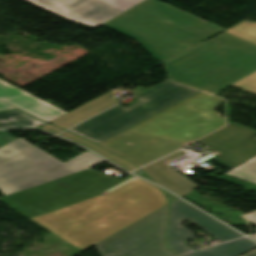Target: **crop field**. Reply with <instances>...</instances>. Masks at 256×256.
<instances>
[{
    "label": "crop field",
    "instance_id": "obj_1",
    "mask_svg": "<svg viewBox=\"0 0 256 256\" xmlns=\"http://www.w3.org/2000/svg\"><path fill=\"white\" fill-rule=\"evenodd\" d=\"M102 161L87 151L63 163L34 147L0 165V200L82 251L169 204L151 183L88 169Z\"/></svg>",
    "mask_w": 256,
    "mask_h": 256
},
{
    "label": "crop field",
    "instance_id": "obj_2",
    "mask_svg": "<svg viewBox=\"0 0 256 256\" xmlns=\"http://www.w3.org/2000/svg\"><path fill=\"white\" fill-rule=\"evenodd\" d=\"M222 102L201 92L100 145L141 167L223 127Z\"/></svg>",
    "mask_w": 256,
    "mask_h": 256
},
{
    "label": "crop field",
    "instance_id": "obj_3",
    "mask_svg": "<svg viewBox=\"0 0 256 256\" xmlns=\"http://www.w3.org/2000/svg\"><path fill=\"white\" fill-rule=\"evenodd\" d=\"M103 26L137 40L162 62L224 31L154 0Z\"/></svg>",
    "mask_w": 256,
    "mask_h": 256
},
{
    "label": "crop field",
    "instance_id": "obj_4",
    "mask_svg": "<svg viewBox=\"0 0 256 256\" xmlns=\"http://www.w3.org/2000/svg\"><path fill=\"white\" fill-rule=\"evenodd\" d=\"M165 67L171 79L214 94L256 72V45L224 33Z\"/></svg>",
    "mask_w": 256,
    "mask_h": 256
},
{
    "label": "crop field",
    "instance_id": "obj_5",
    "mask_svg": "<svg viewBox=\"0 0 256 256\" xmlns=\"http://www.w3.org/2000/svg\"><path fill=\"white\" fill-rule=\"evenodd\" d=\"M197 92L199 91L166 81L136 96L140 102L128 108L118 105L69 131L99 144Z\"/></svg>",
    "mask_w": 256,
    "mask_h": 256
},
{
    "label": "crop field",
    "instance_id": "obj_6",
    "mask_svg": "<svg viewBox=\"0 0 256 256\" xmlns=\"http://www.w3.org/2000/svg\"><path fill=\"white\" fill-rule=\"evenodd\" d=\"M169 205L95 245L101 256H178L166 248Z\"/></svg>",
    "mask_w": 256,
    "mask_h": 256
},
{
    "label": "crop field",
    "instance_id": "obj_7",
    "mask_svg": "<svg viewBox=\"0 0 256 256\" xmlns=\"http://www.w3.org/2000/svg\"><path fill=\"white\" fill-rule=\"evenodd\" d=\"M182 220H190L221 242L242 236L195 207L178 199L172 202L170 225L167 231L169 248L178 255L194 251L183 244L184 241L193 239L194 236L191 231L181 226L180 221Z\"/></svg>",
    "mask_w": 256,
    "mask_h": 256
},
{
    "label": "crop field",
    "instance_id": "obj_8",
    "mask_svg": "<svg viewBox=\"0 0 256 256\" xmlns=\"http://www.w3.org/2000/svg\"><path fill=\"white\" fill-rule=\"evenodd\" d=\"M68 20L99 26L143 0H27Z\"/></svg>",
    "mask_w": 256,
    "mask_h": 256
},
{
    "label": "crop field",
    "instance_id": "obj_9",
    "mask_svg": "<svg viewBox=\"0 0 256 256\" xmlns=\"http://www.w3.org/2000/svg\"><path fill=\"white\" fill-rule=\"evenodd\" d=\"M255 137L256 132L228 122L225 128L198 142L218 154L213 159L232 169L256 155Z\"/></svg>",
    "mask_w": 256,
    "mask_h": 256
},
{
    "label": "crop field",
    "instance_id": "obj_10",
    "mask_svg": "<svg viewBox=\"0 0 256 256\" xmlns=\"http://www.w3.org/2000/svg\"><path fill=\"white\" fill-rule=\"evenodd\" d=\"M183 155H185L183 150L176 152L143 168V170L156 183L161 184L182 196L199 187L173 170L171 166L167 165Z\"/></svg>",
    "mask_w": 256,
    "mask_h": 256
},
{
    "label": "crop field",
    "instance_id": "obj_11",
    "mask_svg": "<svg viewBox=\"0 0 256 256\" xmlns=\"http://www.w3.org/2000/svg\"><path fill=\"white\" fill-rule=\"evenodd\" d=\"M118 101L114 98L102 95L78 108L67 113L65 116L51 122L56 124L64 129H67L77 123H80L105 109L117 104Z\"/></svg>",
    "mask_w": 256,
    "mask_h": 256
},
{
    "label": "crop field",
    "instance_id": "obj_12",
    "mask_svg": "<svg viewBox=\"0 0 256 256\" xmlns=\"http://www.w3.org/2000/svg\"><path fill=\"white\" fill-rule=\"evenodd\" d=\"M4 101L48 122H51L67 113L33 95L13 97L4 99Z\"/></svg>",
    "mask_w": 256,
    "mask_h": 256
},
{
    "label": "crop field",
    "instance_id": "obj_13",
    "mask_svg": "<svg viewBox=\"0 0 256 256\" xmlns=\"http://www.w3.org/2000/svg\"><path fill=\"white\" fill-rule=\"evenodd\" d=\"M254 248L256 243L247 238H241L181 256H238Z\"/></svg>",
    "mask_w": 256,
    "mask_h": 256
},
{
    "label": "crop field",
    "instance_id": "obj_14",
    "mask_svg": "<svg viewBox=\"0 0 256 256\" xmlns=\"http://www.w3.org/2000/svg\"><path fill=\"white\" fill-rule=\"evenodd\" d=\"M37 124L44 125L47 123L41 122L20 110L0 113V128H39Z\"/></svg>",
    "mask_w": 256,
    "mask_h": 256
},
{
    "label": "crop field",
    "instance_id": "obj_15",
    "mask_svg": "<svg viewBox=\"0 0 256 256\" xmlns=\"http://www.w3.org/2000/svg\"><path fill=\"white\" fill-rule=\"evenodd\" d=\"M60 136L69 138L71 140H74V141L80 143L81 145H83V146L93 150L94 152L108 158L109 160L115 162L116 164L122 166L123 168H125L129 171L137 168V166L135 164L131 163L130 161H128V160H126V159H124V158H122V157H120V156H118V155H116V154H114V153L96 145L95 143H93L89 140L78 137V136H76V135H74V134H72L68 131L60 134Z\"/></svg>",
    "mask_w": 256,
    "mask_h": 256
},
{
    "label": "crop field",
    "instance_id": "obj_16",
    "mask_svg": "<svg viewBox=\"0 0 256 256\" xmlns=\"http://www.w3.org/2000/svg\"><path fill=\"white\" fill-rule=\"evenodd\" d=\"M226 174L256 183V157L232 169Z\"/></svg>",
    "mask_w": 256,
    "mask_h": 256
},
{
    "label": "crop field",
    "instance_id": "obj_17",
    "mask_svg": "<svg viewBox=\"0 0 256 256\" xmlns=\"http://www.w3.org/2000/svg\"><path fill=\"white\" fill-rule=\"evenodd\" d=\"M28 94L29 93L0 80V111L17 109L3 102L1 99L13 97V96L28 95Z\"/></svg>",
    "mask_w": 256,
    "mask_h": 256
},
{
    "label": "crop field",
    "instance_id": "obj_18",
    "mask_svg": "<svg viewBox=\"0 0 256 256\" xmlns=\"http://www.w3.org/2000/svg\"><path fill=\"white\" fill-rule=\"evenodd\" d=\"M226 33L256 44V23L243 22Z\"/></svg>",
    "mask_w": 256,
    "mask_h": 256
},
{
    "label": "crop field",
    "instance_id": "obj_19",
    "mask_svg": "<svg viewBox=\"0 0 256 256\" xmlns=\"http://www.w3.org/2000/svg\"><path fill=\"white\" fill-rule=\"evenodd\" d=\"M32 146L34 145L19 138L12 143L0 148V162Z\"/></svg>",
    "mask_w": 256,
    "mask_h": 256
},
{
    "label": "crop field",
    "instance_id": "obj_20",
    "mask_svg": "<svg viewBox=\"0 0 256 256\" xmlns=\"http://www.w3.org/2000/svg\"><path fill=\"white\" fill-rule=\"evenodd\" d=\"M232 86L238 87L240 89L249 91L253 94H256V73L251 76L233 84Z\"/></svg>",
    "mask_w": 256,
    "mask_h": 256
},
{
    "label": "crop field",
    "instance_id": "obj_21",
    "mask_svg": "<svg viewBox=\"0 0 256 256\" xmlns=\"http://www.w3.org/2000/svg\"><path fill=\"white\" fill-rule=\"evenodd\" d=\"M17 138H15L14 136H12L11 134H9L6 131H0V147L15 140Z\"/></svg>",
    "mask_w": 256,
    "mask_h": 256
},
{
    "label": "crop field",
    "instance_id": "obj_22",
    "mask_svg": "<svg viewBox=\"0 0 256 256\" xmlns=\"http://www.w3.org/2000/svg\"><path fill=\"white\" fill-rule=\"evenodd\" d=\"M39 129L47 130V131H49L51 133H54V134H58V133L64 131V130L59 129V128L55 127V126H52L50 124L44 125L41 128H39Z\"/></svg>",
    "mask_w": 256,
    "mask_h": 256
},
{
    "label": "crop field",
    "instance_id": "obj_23",
    "mask_svg": "<svg viewBox=\"0 0 256 256\" xmlns=\"http://www.w3.org/2000/svg\"><path fill=\"white\" fill-rule=\"evenodd\" d=\"M245 217L247 218L248 221L254 222L256 224V212L245 215ZM251 237L256 240V234L251 235Z\"/></svg>",
    "mask_w": 256,
    "mask_h": 256
},
{
    "label": "crop field",
    "instance_id": "obj_24",
    "mask_svg": "<svg viewBox=\"0 0 256 256\" xmlns=\"http://www.w3.org/2000/svg\"><path fill=\"white\" fill-rule=\"evenodd\" d=\"M134 174L139 175V176H141V177H144V178H146V179L151 180L141 169L138 170L137 172H135ZM151 181H152V180H151Z\"/></svg>",
    "mask_w": 256,
    "mask_h": 256
},
{
    "label": "crop field",
    "instance_id": "obj_25",
    "mask_svg": "<svg viewBox=\"0 0 256 256\" xmlns=\"http://www.w3.org/2000/svg\"><path fill=\"white\" fill-rule=\"evenodd\" d=\"M164 190V189H163ZM164 192H166L167 193V195H168V197L170 198V200L171 201H173V200H175V199H177L178 197H176V196H174V195H172V193H170V192H168V191H166V190H164Z\"/></svg>",
    "mask_w": 256,
    "mask_h": 256
},
{
    "label": "crop field",
    "instance_id": "obj_26",
    "mask_svg": "<svg viewBox=\"0 0 256 256\" xmlns=\"http://www.w3.org/2000/svg\"><path fill=\"white\" fill-rule=\"evenodd\" d=\"M117 93H119V92H117V91H110V92H108V93H106V94H108V95H110V96H113V95H115V94H117Z\"/></svg>",
    "mask_w": 256,
    "mask_h": 256
},
{
    "label": "crop field",
    "instance_id": "obj_27",
    "mask_svg": "<svg viewBox=\"0 0 256 256\" xmlns=\"http://www.w3.org/2000/svg\"><path fill=\"white\" fill-rule=\"evenodd\" d=\"M246 256H256V251L253 252V253H251V254H248V255H246Z\"/></svg>",
    "mask_w": 256,
    "mask_h": 256
}]
</instances>
